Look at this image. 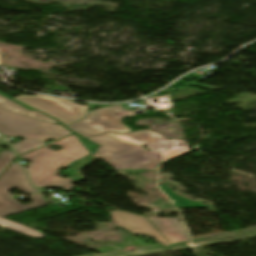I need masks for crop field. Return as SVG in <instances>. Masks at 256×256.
<instances>
[{"instance_id":"6","label":"crop field","mask_w":256,"mask_h":256,"mask_svg":"<svg viewBox=\"0 0 256 256\" xmlns=\"http://www.w3.org/2000/svg\"><path fill=\"white\" fill-rule=\"evenodd\" d=\"M16 100L58 119L64 126L86 117L88 107L69 100L45 96H19Z\"/></svg>"},{"instance_id":"8","label":"crop field","mask_w":256,"mask_h":256,"mask_svg":"<svg viewBox=\"0 0 256 256\" xmlns=\"http://www.w3.org/2000/svg\"><path fill=\"white\" fill-rule=\"evenodd\" d=\"M147 218L159 233L170 243V245L188 241L187 235L179 218Z\"/></svg>"},{"instance_id":"11","label":"crop field","mask_w":256,"mask_h":256,"mask_svg":"<svg viewBox=\"0 0 256 256\" xmlns=\"http://www.w3.org/2000/svg\"><path fill=\"white\" fill-rule=\"evenodd\" d=\"M161 189L171 198V200L174 202V204L177 206V208H194V207H206L202 204L189 201L183 198H180L173 194L172 190L169 188V186H163Z\"/></svg>"},{"instance_id":"12","label":"crop field","mask_w":256,"mask_h":256,"mask_svg":"<svg viewBox=\"0 0 256 256\" xmlns=\"http://www.w3.org/2000/svg\"><path fill=\"white\" fill-rule=\"evenodd\" d=\"M93 160L94 159L92 156L82 159V160H79V161L75 162L74 164L70 165L69 168L67 169V172L76 182L82 181L84 179H83V176H82L80 170L82 168H84L85 166L89 165Z\"/></svg>"},{"instance_id":"5","label":"crop field","mask_w":256,"mask_h":256,"mask_svg":"<svg viewBox=\"0 0 256 256\" xmlns=\"http://www.w3.org/2000/svg\"><path fill=\"white\" fill-rule=\"evenodd\" d=\"M133 116L131 111H124L120 105L89 112V116L75 124L67 126L70 130L86 138L106 132L122 133L131 131L122 121Z\"/></svg>"},{"instance_id":"15","label":"crop field","mask_w":256,"mask_h":256,"mask_svg":"<svg viewBox=\"0 0 256 256\" xmlns=\"http://www.w3.org/2000/svg\"><path fill=\"white\" fill-rule=\"evenodd\" d=\"M189 85L198 86V87L207 88V89H213V90L218 89V87H212V86H207V85L195 84V83H192V82H190Z\"/></svg>"},{"instance_id":"7","label":"crop field","mask_w":256,"mask_h":256,"mask_svg":"<svg viewBox=\"0 0 256 256\" xmlns=\"http://www.w3.org/2000/svg\"><path fill=\"white\" fill-rule=\"evenodd\" d=\"M111 223L133 234H142L144 236L151 237L163 246H170L144 216L122 211H113L111 212Z\"/></svg>"},{"instance_id":"3","label":"crop field","mask_w":256,"mask_h":256,"mask_svg":"<svg viewBox=\"0 0 256 256\" xmlns=\"http://www.w3.org/2000/svg\"><path fill=\"white\" fill-rule=\"evenodd\" d=\"M0 133L23 136L26 140L13 145L17 156L46 144V139H59L72 134L60 124L55 125L0 109Z\"/></svg>"},{"instance_id":"17","label":"crop field","mask_w":256,"mask_h":256,"mask_svg":"<svg viewBox=\"0 0 256 256\" xmlns=\"http://www.w3.org/2000/svg\"><path fill=\"white\" fill-rule=\"evenodd\" d=\"M4 53L3 51L0 50V60L2 59V57L4 56ZM1 64V63H0Z\"/></svg>"},{"instance_id":"10","label":"crop field","mask_w":256,"mask_h":256,"mask_svg":"<svg viewBox=\"0 0 256 256\" xmlns=\"http://www.w3.org/2000/svg\"><path fill=\"white\" fill-rule=\"evenodd\" d=\"M0 225L7 228V229H10L12 231L24 234V235L32 237V238L44 237V235L40 234L39 231L27 228L25 226L19 225V224L14 223V222H11V221L6 220L2 217H0Z\"/></svg>"},{"instance_id":"14","label":"crop field","mask_w":256,"mask_h":256,"mask_svg":"<svg viewBox=\"0 0 256 256\" xmlns=\"http://www.w3.org/2000/svg\"><path fill=\"white\" fill-rule=\"evenodd\" d=\"M75 135H76V134H75ZM76 136L79 138V140L84 144V146L89 150V152H90L91 154L95 152V149H96L98 146H96V145L90 143L89 141H87V140L81 138V137L78 136V135H76ZM78 138H77V139H78ZM83 144H82V145H83ZM88 150H87V151H88Z\"/></svg>"},{"instance_id":"9","label":"crop field","mask_w":256,"mask_h":256,"mask_svg":"<svg viewBox=\"0 0 256 256\" xmlns=\"http://www.w3.org/2000/svg\"><path fill=\"white\" fill-rule=\"evenodd\" d=\"M0 108L1 109H4V110H7V111H11V112H15V113H19V114H23V115H26V116H30V117H34V118H38V119H41V120H44V121H47V122H52V123H55L57 121L37 112V111H30L2 96H0Z\"/></svg>"},{"instance_id":"2","label":"crop field","mask_w":256,"mask_h":256,"mask_svg":"<svg viewBox=\"0 0 256 256\" xmlns=\"http://www.w3.org/2000/svg\"><path fill=\"white\" fill-rule=\"evenodd\" d=\"M57 145L63 148L61 151H52L48 147ZM35 152L20 158L30 160L27 170L35 187H64V190L73 189L71 179L55 177L60 168H66L72 161L89 155L90 153L82 143L71 135Z\"/></svg>"},{"instance_id":"1","label":"crop field","mask_w":256,"mask_h":256,"mask_svg":"<svg viewBox=\"0 0 256 256\" xmlns=\"http://www.w3.org/2000/svg\"><path fill=\"white\" fill-rule=\"evenodd\" d=\"M89 140L100 145L94 159L105 160L121 174L154 170L161 161L190 150L188 143L168 140L150 130L123 135L107 133ZM144 145L153 150L148 152Z\"/></svg>"},{"instance_id":"16","label":"crop field","mask_w":256,"mask_h":256,"mask_svg":"<svg viewBox=\"0 0 256 256\" xmlns=\"http://www.w3.org/2000/svg\"><path fill=\"white\" fill-rule=\"evenodd\" d=\"M0 94H2V95H4V96L8 97L9 99L15 101L13 98H11V97H9V96H7V95L1 93V92H0ZM15 102H17V101H15ZM17 103H19V102H17ZM19 104H21V103H19ZM21 105H23V104H21ZM23 106H25V105H23ZM25 107H27V106H25ZM27 108H29V107H27ZM29 109H31V108H29Z\"/></svg>"},{"instance_id":"4","label":"crop field","mask_w":256,"mask_h":256,"mask_svg":"<svg viewBox=\"0 0 256 256\" xmlns=\"http://www.w3.org/2000/svg\"><path fill=\"white\" fill-rule=\"evenodd\" d=\"M18 188L24 193L39 192L31 187L27 174L18 163H13L0 177V216L5 217L18 214L31 208L46 206L41 194L29 196L32 203L22 205L12 199V195L7 191Z\"/></svg>"},{"instance_id":"13","label":"crop field","mask_w":256,"mask_h":256,"mask_svg":"<svg viewBox=\"0 0 256 256\" xmlns=\"http://www.w3.org/2000/svg\"><path fill=\"white\" fill-rule=\"evenodd\" d=\"M15 158L13 152L2 151L0 154V173L12 162Z\"/></svg>"}]
</instances>
